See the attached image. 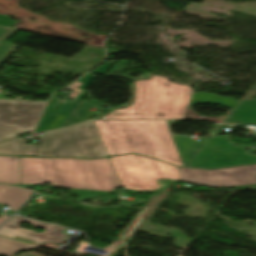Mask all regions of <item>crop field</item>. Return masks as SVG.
<instances>
[{
  "instance_id": "d8731c3e",
  "label": "crop field",
  "mask_w": 256,
  "mask_h": 256,
  "mask_svg": "<svg viewBox=\"0 0 256 256\" xmlns=\"http://www.w3.org/2000/svg\"><path fill=\"white\" fill-rule=\"evenodd\" d=\"M22 222L32 224L34 227L46 229L43 233H34L32 230L17 227ZM64 228L15 216L0 228V235L15 239L17 236L38 240L42 242L62 243L68 234L61 233Z\"/></svg>"
},
{
  "instance_id": "34b2d1b8",
  "label": "crop field",
  "mask_w": 256,
  "mask_h": 256,
  "mask_svg": "<svg viewBox=\"0 0 256 256\" xmlns=\"http://www.w3.org/2000/svg\"><path fill=\"white\" fill-rule=\"evenodd\" d=\"M40 145H26L25 137L0 143V154L40 157H106L108 153L94 122L45 133Z\"/></svg>"
},
{
  "instance_id": "e52e79f7",
  "label": "crop field",
  "mask_w": 256,
  "mask_h": 256,
  "mask_svg": "<svg viewBox=\"0 0 256 256\" xmlns=\"http://www.w3.org/2000/svg\"><path fill=\"white\" fill-rule=\"evenodd\" d=\"M46 102L0 99V140L33 131Z\"/></svg>"
},
{
  "instance_id": "3316defc",
  "label": "crop field",
  "mask_w": 256,
  "mask_h": 256,
  "mask_svg": "<svg viewBox=\"0 0 256 256\" xmlns=\"http://www.w3.org/2000/svg\"><path fill=\"white\" fill-rule=\"evenodd\" d=\"M0 182L20 184L19 158L0 156Z\"/></svg>"
},
{
  "instance_id": "ac0d7876",
  "label": "crop field",
  "mask_w": 256,
  "mask_h": 256,
  "mask_svg": "<svg viewBox=\"0 0 256 256\" xmlns=\"http://www.w3.org/2000/svg\"><path fill=\"white\" fill-rule=\"evenodd\" d=\"M110 156L137 153L185 167L165 121H95Z\"/></svg>"
},
{
  "instance_id": "28ad6ade",
  "label": "crop field",
  "mask_w": 256,
  "mask_h": 256,
  "mask_svg": "<svg viewBox=\"0 0 256 256\" xmlns=\"http://www.w3.org/2000/svg\"><path fill=\"white\" fill-rule=\"evenodd\" d=\"M36 247L38 246L0 236V255L1 256H14L15 253L17 252L29 251Z\"/></svg>"
},
{
  "instance_id": "8a807250",
  "label": "crop field",
  "mask_w": 256,
  "mask_h": 256,
  "mask_svg": "<svg viewBox=\"0 0 256 256\" xmlns=\"http://www.w3.org/2000/svg\"><path fill=\"white\" fill-rule=\"evenodd\" d=\"M21 184L64 187L79 201L107 195L121 186L109 158L99 160L20 158Z\"/></svg>"
},
{
  "instance_id": "f4fd0767",
  "label": "crop field",
  "mask_w": 256,
  "mask_h": 256,
  "mask_svg": "<svg viewBox=\"0 0 256 256\" xmlns=\"http://www.w3.org/2000/svg\"><path fill=\"white\" fill-rule=\"evenodd\" d=\"M125 189L157 190L160 178L180 180L177 167L137 155L110 158Z\"/></svg>"
},
{
  "instance_id": "dd49c442",
  "label": "crop field",
  "mask_w": 256,
  "mask_h": 256,
  "mask_svg": "<svg viewBox=\"0 0 256 256\" xmlns=\"http://www.w3.org/2000/svg\"><path fill=\"white\" fill-rule=\"evenodd\" d=\"M179 171L182 181L194 184L256 190V165L221 170L179 168Z\"/></svg>"
},
{
  "instance_id": "5a996713",
  "label": "crop field",
  "mask_w": 256,
  "mask_h": 256,
  "mask_svg": "<svg viewBox=\"0 0 256 256\" xmlns=\"http://www.w3.org/2000/svg\"><path fill=\"white\" fill-rule=\"evenodd\" d=\"M33 194L31 191L0 184V208L7 204L11 207L10 210L17 211Z\"/></svg>"
},
{
  "instance_id": "412701ff",
  "label": "crop field",
  "mask_w": 256,
  "mask_h": 256,
  "mask_svg": "<svg viewBox=\"0 0 256 256\" xmlns=\"http://www.w3.org/2000/svg\"><path fill=\"white\" fill-rule=\"evenodd\" d=\"M136 99L125 110H116L103 119H184L193 92L190 86L177 85L153 75L136 83Z\"/></svg>"
},
{
  "instance_id": "d1516ede",
  "label": "crop field",
  "mask_w": 256,
  "mask_h": 256,
  "mask_svg": "<svg viewBox=\"0 0 256 256\" xmlns=\"http://www.w3.org/2000/svg\"><path fill=\"white\" fill-rule=\"evenodd\" d=\"M16 30L0 27V64L18 47L5 42Z\"/></svg>"
},
{
  "instance_id": "22f410ed",
  "label": "crop field",
  "mask_w": 256,
  "mask_h": 256,
  "mask_svg": "<svg viewBox=\"0 0 256 256\" xmlns=\"http://www.w3.org/2000/svg\"><path fill=\"white\" fill-rule=\"evenodd\" d=\"M0 215H2V214H0ZM7 218H9V216L3 215V216L0 218V224H1L2 222H4Z\"/></svg>"
}]
</instances>
